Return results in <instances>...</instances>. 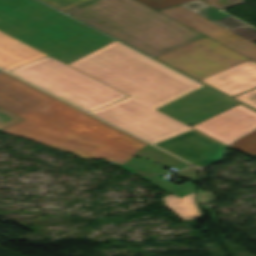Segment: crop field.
<instances>
[{"label": "crop field", "mask_w": 256, "mask_h": 256, "mask_svg": "<svg viewBox=\"0 0 256 256\" xmlns=\"http://www.w3.org/2000/svg\"><path fill=\"white\" fill-rule=\"evenodd\" d=\"M155 9L174 5V4H182L185 2L193 1V0H139Z\"/></svg>", "instance_id": "crop-field-19"}, {"label": "crop field", "mask_w": 256, "mask_h": 256, "mask_svg": "<svg viewBox=\"0 0 256 256\" xmlns=\"http://www.w3.org/2000/svg\"><path fill=\"white\" fill-rule=\"evenodd\" d=\"M177 174H179L183 178L190 179L196 183L199 181L198 169L193 166L182 171H179L177 172Z\"/></svg>", "instance_id": "crop-field-22"}, {"label": "crop field", "mask_w": 256, "mask_h": 256, "mask_svg": "<svg viewBox=\"0 0 256 256\" xmlns=\"http://www.w3.org/2000/svg\"><path fill=\"white\" fill-rule=\"evenodd\" d=\"M182 6L214 21L216 19L222 18L224 16H227L226 14L220 12L219 10L203 3L200 0L189 2L182 4Z\"/></svg>", "instance_id": "crop-field-16"}, {"label": "crop field", "mask_w": 256, "mask_h": 256, "mask_svg": "<svg viewBox=\"0 0 256 256\" xmlns=\"http://www.w3.org/2000/svg\"><path fill=\"white\" fill-rule=\"evenodd\" d=\"M155 58L197 79L249 59L207 37Z\"/></svg>", "instance_id": "crop-field-6"}, {"label": "crop field", "mask_w": 256, "mask_h": 256, "mask_svg": "<svg viewBox=\"0 0 256 256\" xmlns=\"http://www.w3.org/2000/svg\"><path fill=\"white\" fill-rule=\"evenodd\" d=\"M237 104L203 86L157 110L191 126Z\"/></svg>", "instance_id": "crop-field-7"}, {"label": "crop field", "mask_w": 256, "mask_h": 256, "mask_svg": "<svg viewBox=\"0 0 256 256\" xmlns=\"http://www.w3.org/2000/svg\"><path fill=\"white\" fill-rule=\"evenodd\" d=\"M198 81L232 97L256 87V62L249 59Z\"/></svg>", "instance_id": "crop-field-11"}, {"label": "crop field", "mask_w": 256, "mask_h": 256, "mask_svg": "<svg viewBox=\"0 0 256 256\" xmlns=\"http://www.w3.org/2000/svg\"><path fill=\"white\" fill-rule=\"evenodd\" d=\"M192 128L229 145L256 128V112L239 104Z\"/></svg>", "instance_id": "crop-field-10"}, {"label": "crop field", "mask_w": 256, "mask_h": 256, "mask_svg": "<svg viewBox=\"0 0 256 256\" xmlns=\"http://www.w3.org/2000/svg\"><path fill=\"white\" fill-rule=\"evenodd\" d=\"M197 202L201 201H208L203 191H199L198 194H196Z\"/></svg>", "instance_id": "crop-field-23"}, {"label": "crop field", "mask_w": 256, "mask_h": 256, "mask_svg": "<svg viewBox=\"0 0 256 256\" xmlns=\"http://www.w3.org/2000/svg\"><path fill=\"white\" fill-rule=\"evenodd\" d=\"M135 156L141 157V158H146L151 161L158 162L166 167H175L176 169L180 170L186 166H189L188 164L184 163L183 161L151 146L148 145L145 147L142 151H140L138 154Z\"/></svg>", "instance_id": "crop-field-14"}, {"label": "crop field", "mask_w": 256, "mask_h": 256, "mask_svg": "<svg viewBox=\"0 0 256 256\" xmlns=\"http://www.w3.org/2000/svg\"><path fill=\"white\" fill-rule=\"evenodd\" d=\"M43 1L65 11L69 8H72L88 0H43Z\"/></svg>", "instance_id": "crop-field-18"}, {"label": "crop field", "mask_w": 256, "mask_h": 256, "mask_svg": "<svg viewBox=\"0 0 256 256\" xmlns=\"http://www.w3.org/2000/svg\"><path fill=\"white\" fill-rule=\"evenodd\" d=\"M214 22L256 43V29L230 16Z\"/></svg>", "instance_id": "crop-field-15"}, {"label": "crop field", "mask_w": 256, "mask_h": 256, "mask_svg": "<svg viewBox=\"0 0 256 256\" xmlns=\"http://www.w3.org/2000/svg\"><path fill=\"white\" fill-rule=\"evenodd\" d=\"M0 30L66 64L114 41L36 0H0Z\"/></svg>", "instance_id": "crop-field-3"}, {"label": "crop field", "mask_w": 256, "mask_h": 256, "mask_svg": "<svg viewBox=\"0 0 256 256\" xmlns=\"http://www.w3.org/2000/svg\"><path fill=\"white\" fill-rule=\"evenodd\" d=\"M194 193L182 198L170 194L161 200L167 208L176 213L179 217L184 220H191L201 216L193 198Z\"/></svg>", "instance_id": "crop-field-13"}, {"label": "crop field", "mask_w": 256, "mask_h": 256, "mask_svg": "<svg viewBox=\"0 0 256 256\" xmlns=\"http://www.w3.org/2000/svg\"><path fill=\"white\" fill-rule=\"evenodd\" d=\"M230 147L251 156H256V130L239 138Z\"/></svg>", "instance_id": "crop-field-17"}, {"label": "crop field", "mask_w": 256, "mask_h": 256, "mask_svg": "<svg viewBox=\"0 0 256 256\" xmlns=\"http://www.w3.org/2000/svg\"><path fill=\"white\" fill-rule=\"evenodd\" d=\"M233 98L256 109V88Z\"/></svg>", "instance_id": "crop-field-20"}, {"label": "crop field", "mask_w": 256, "mask_h": 256, "mask_svg": "<svg viewBox=\"0 0 256 256\" xmlns=\"http://www.w3.org/2000/svg\"><path fill=\"white\" fill-rule=\"evenodd\" d=\"M69 65L130 96L92 114L152 144L191 129L155 109L202 84L116 41Z\"/></svg>", "instance_id": "crop-field-1"}, {"label": "crop field", "mask_w": 256, "mask_h": 256, "mask_svg": "<svg viewBox=\"0 0 256 256\" xmlns=\"http://www.w3.org/2000/svg\"><path fill=\"white\" fill-rule=\"evenodd\" d=\"M9 72L89 112L128 97L49 56Z\"/></svg>", "instance_id": "crop-field-5"}, {"label": "crop field", "mask_w": 256, "mask_h": 256, "mask_svg": "<svg viewBox=\"0 0 256 256\" xmlns=\"http://www.w3.org/2000/svg\"><path fill=\"white\" fill-rule=\"evenodd\" d=\"M45 56L47 55L0 31V67L3 69L9 71Z\"/></svg>", "instance_id": "crop-field-12"}, {"label": "crop field", "mask_w": 256, "mask_h": 256, "mask_svg": "<svg viewBox=\"0 0 256 256\" xmlns=\"http://www.w3.org/2000/svg\"><path fill=\"white\" fill-rule=\"evenodd\" d=\"M65 12L153 57L204 37L136 0H90Z\"/></svg>", "instance_id": "crop-field-4"}, {"label": "crop field", "mask_w": 256, "mask_h": 256, "mask_svg": "<svg viewBox=\"0 0 256 256\" xmlns=\"http://www.w3.org/2000/svg\"><path fill=\"white\" fill-rule=\"evenodd\" d=\"M0 107L23 119L2 132L123 165L146 143L0 70Z\"/></svg>", "instance_id": "crop-field-2"}, {"label": "crop field", "mask_w": 256, "mask_h": 256, "mask_svg": "<svg viewBox=\"0 0 256 256\" xmlns=\"http://www.w3.org/2000/svg\"><path fill=\"white\" fill-rule=\"evenodd\" d=\"M155 145L198 167L221 158L226 146L194 129Z\"/></svg>", "instance_id": "crop-field-9"}, {"label": "crop field", "mask_w": 256, "mask_h": 256, "mask_svg": "<svg viewBox=\"0 0 256 256\" xmlns=\"http://www.w3.org/2000/svg\"><path fill=\"white\" fill-rule=\"evenodd\" d=\"M21 118L0 108V129Z\"/></svg>", "instance_id": "crop-field-21"}, {"label": "crop field", "mask_w": 256, "mask_h": 256, "mask_svg": "<svg viewBox=\"0 0 256 256\" xmlns=\"http://www.w3.org/2000/svg\"><path fill=\"white\" fill-rule=\"evenodd\" d=\"M160 12L256 61V44L178 5Z\"/></svg>", "instance_id": "crop-field-8"}]
</instances>
